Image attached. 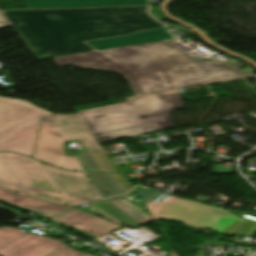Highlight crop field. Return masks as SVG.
Wrapping results in <instances>:
<instances>
[{
    "mask_svg": "<svg viewBox=\"0 0 256 256\" xmlns=\"http://www.w3.org/2000/svg\"><path fill=\"white\" fill-rule=\"evenodd\" d=\"M51 221L69 227L89 238H97L120 227V225L75 209L63 213L51 219Z\"/></svg>",
    "mask_w": 256,
    "mask_h": 256,
    "instance_id": "obj_10",
    "label": "crop field"
},
{
    "mask_svg": "<svg viewBox=\"0 0 256 256\" xmlns=\"http://www.w3.org/2000/svg\"><path fill=\"white\" fill-rule=\"evenodd\" d=\"M104 197L124 194L131 187L119 173L87 172Z\"/></svg>",
    "mask_w": 256,
    "mask_h": 256,
    "instance_id": "obj_14",
    "label": "crop field"
},
{
    "mask_svg": "<svg viewBox=\"0 0 256 256\" xmlns=\"http://www.w3.org/2000/svg\"><path fill=\"white\" fill-rule=\"evenodd\" d=\"M59 67L117 72L136 95L252 76L212 59L196 60L169 43L157 42L55 58Z\"/></svg>",
    "mask_w": 256,
    "mask_h": 256,
    "instance_id": "obj_1",
    "label": "crop field"
},
{
    "mask_svg": "<svg viewBox=\"0 0 256 256\" xmlns=\"http://www.w3.org/2000/svg\"><path fill=\"white\" fill-rule=\"evenodd\" d=\"M184 108L180 89L128 98L77 112L99 143L173 128L171 111ZM147 121L149 125L141 123Z\"/></svg>",
    "mask_w": 256,
    "mask_h": 256,
    "instance_id": "obj_3",
    "label": "crop field"
},
{
    "mask_svg": "<svg viewBox=\"0 0 256 256\" xmlns=\"http://www.w3.org/2000/svg\"><path fill=\"white\" fill-rule=\"evenodd\" d=\"M92 205L104 211L127 227L134 228L150 222L148 214L122 197L102 200Z\"/></svg>",
    "mask_w": 256,
    "mask_h": 256,
    "instance_id": "obj_11",
    "label": "crop field"
},
{
    "mask_svg": "<svg viewBox=\"0 0 256 256\" xmlns=\"http://www.w3.org/2000/svg\"><path fill=\"white\" fill-rule=\"evenodd\" d=\"M73 139L81 141L85 146L79 159L86 170L117 172L105 151L76 113L47 117L41 124L32 157L66 170L82 171L76 157L64 155L62 142Z\"/></svg>",
    "mask_w": 256,
    "mask_h": 256,
    "instance_id": "obj_5",
    "label": "crop field"
},
{
    "mask_svg": "<svg viewBox=\"0 0 256 256\" xmlns=\"http://www.w3.org/2000/svg\"><path fill=\"white\" fill-rule=\"evenodd\" d=\"M49 256H93L92 254H83L76 250L65 247Z\"/></svg>",
    "mask_w": 256,
    "mask_h": 256,
    "instance_id": "obj_15",
    "label": "crop field"
},
{
    "mask_svg": "<svg viewBox=\"0 0 256 256\" xmlns=\"http://www.w3.org/2000/svg\"><path fill=\"white\" fill-rule=\"evenodd\" d=\"M29 9L147 5V0H23Z\"/></svg>",
    "mask_w": 256,
    "mask_h": 256,
    "instance_id": "obj_13",
    "label": "crop field"
},
{
    "mask_svg": "<svg viewBox=\"0 0 256 256\" xmlns=\"http://www.w3.org/2000/svg\"><path fill=\"white\" fill-rule=\"evenodd\" d=\"M27 46L49 57L94 51L82 41L163 27L147 6L2 11Z\"/></svg>",
    "mask_w": 256,
    "mask_h": 256,
    "instance_id": "obj_2",
    "label": "crop field"
},
{
    "mask_svg": "<svg viewBox=\"0 0 256 256\" xmlns=\"http://www.w3.org/2000/svg\"><path fill=\"white\" fill-rule=\"evenodd\" d=\"M12 192L66 205L43 164L15 153H0V202L45 219L71 208Z\"/></svg>",
    "mask_w": 256,
    "mask_h": 256,
    "instance_id": "obj_4",
    "label": "crop field"
},
{
    "mask_svg": "<svg viewBox=\"0 0 256 256\" xmlns=\"http://www.w3.org/2000/svg\"><path fill=\"white\" fill-rule=\"evenodd\" d=\"M175 39L167 27L146 30L126 36L86 41L88 45L97 50L108 49L114 47L157 42L162 40Z\"/></svg>",
    "mask_w": 256,
    "mask_h": 256,
    "instance_id": "obj_12",
    "label": "crop field"
},
{
    "mask_svg": "<svg viewBox=\"0 0 256 256\" xmlns=\"http://www.w3.org/2000/svg\"><path fill=\"white\" fill-rule=\"evenodd\" d=\"M44 165L69 206L100 199L84 172L63 171Z\"/></svg>",
    "mask_w": 256,
    "mask_h": 256,
    "instance_id": "obj_9",
    "label": "crop field"
},
{
    "mask_svg": "<svg viewBox=\"0 0 256 256\" xmlns=\"http://www.w3.org/2000/svg\"><path fill=\"white\" fill-rule=\"evenodd\" d=\"M64 245L22 229L0 228V256H44Z\"/></svg>",
    "mask_w": 256,
    "mask_h": 256,
    "instance_id": "obj_8",
    "label": "crop field"
},
{
    "mask_svg": "<svg viewBox=\"0 0 256 256\" xmlns=\"http://www.w3.org/2000/svg\"><path fill=\"white\" fill-rule=\"evenodd\" d=\"M7 27H11V25L0 11V29Z\"/></svg>",
    "mask_w": 256,
    "mask_h": 256,
    "instance_id": "obj_16",
    "label": "crop field"
},
{
    "mask_svg": "<svg viewBox=\"0 0 256 256\" xmlns=\"http://www.w3.org/2000/svg\"><path fill=\"white\" fill-rule=\"evenodd\" d=\"M49 115L28 102L0 96V151L31 156L42 117Z\"/></svg>",
    "mask_w": 256,
    "mask_h": 256,
    "instance_id": "obj_7",
    "label": "crop field"
},
{
    "mask_svg": "<svg viewBox=\"0 0 256 256\" xmlns=\"http://www.w3.org/2000/svg\"><path fill=\"white\" fill-rule=\"evenodd\" d=\"M136 192L144 200L154 219L174 218L193 227H205L229 235L253 236L256 234V222L241 218L227 210L173 196L156 203L152 200L162 193L146 186H137L130 193Z\"/></svg>",
    "mask_w": 256,
    "mask_h": 256,
    "instance_id": "obj_6",
    "label": "crop field"
},
{
    "mask_svg": "<svg viewBox=\"0 0 256 256\" xmlns=\"http://www.w3.org/2000/svg\"><path fill=\"white\" fill-rule=\"evenodd\" d=\"M172 256H177V255L175 254V252L173 251V249H172Z\"/></svg>",
    "mask_w": 256,
    "mask_h": 256,
    "instance_id": "obj_17",
    "label": "crop field"
}]
</instances>
